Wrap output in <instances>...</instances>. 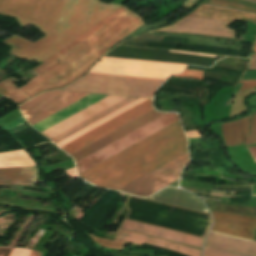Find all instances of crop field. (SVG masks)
<instances>
[{"label":"crop field","mask_w":256,"mask_h":256,"mask_svg":"<svg viewBox=\"0 0 256 256\" xmlns=\"http://www.w3.org/2000/svg\"><path fill=\"white\" fill-rule=\"evenodd\" d=\"M43 252L31 251L29 256H41Z\"/></svg>","instance_id":"obj_27"},{"label":"crop field","mask_w":256,"mask_h":256,"mask_svg":"<svg viewBox=\"0 0 256 256\" xmlns=\"http://www.w3.org/2000/svg\"><path fill=\"white\" fill-rule=\"evenodd\" d=\"M163 82L160 79L89 73L63 90L152 98L153 91Z\"/></svg>","instance_id":"obj_5"},{"label":"crop field","mask_w":256,"mask_h":256,"mask_svg":"<svg viewBox=\"0 0 256 256\" xmlns=\"http://www.w3.org/2000/svg\"><path fill=\"white\" fill-rule=\"evenodd\" d=\"M250 153L252 154L255 162H256V147H251V148H248Z\"/></svg>","instance_id":"obj_26"},{"label":"crop field","mask_w":256,"mask_h":256,"mask_svg":"<svg viewBox=\"0 0 256 256\" xmlns=\"http://www.w3.org/2000/svg\"><path fill=\"white\" fill-rule=\"evenodd\" d=\"M180 185L207 189V190H210L213 187V185L211 184H203V183H195V182H187V181H181Z\"/></svg>","instance_id":"obj_21"},{"label":"crop field","mask_w":256,"mask_h":256,"mask_svg":"<svg viewBox=\"0 0 256 256\" xmlns=\"http://www.w3.org/2000/svg\"><path fill=\"white\" fill-rule=\"evenodd\" d=\"M203 255L205 256H245L237 253H232L220 249H215L205 246Z\"/></svg>","instance_id":"obj_19"},{"label":"crop field","mask_w":256,"mask_h":256,"mask_svg":"<svg viewBox=\"0 0 256 256\" xmlns=\"http://www.w3.org/2000/svg\"><path fill=\"white\" fill-rule=\"evenodd\" d=\"M203 3L217 6H225L228 8L251 11L256 13V4L243 0H205Z\"/></svg>","instance_id":"obj_18"},{"label":"crop field","mask_w":256,"mask_h":256,"mask_svg":"<svg viewBox=\"0 0 256 256\" xmlns=\"http://www.w3.org/2000/svg\"><path fill=\"white\" fill-rule=\"evenodd\" d=\"M164 114L157 112L155 109L146 113L145 115L137 118L136 120L126 124L125 126L117 129L116 131L108 134L107 136L99 139L98 141L88 145L87 147L72 154L74 161L77 162L84 157L92 154L93 152L103 148L104 146L112 143L113 141L121 138L122 136L130 133L131 131L141 127L142 125L150 122L151 120ZM179 120L177 114L167 113L150 123L142 126L141 128L131 132L130 134L122 137L121 139L113 142L112 144L104 147L103 149L93 153L92 155L84 158L76 163L78 174H81L88 169L96 166L97 164L105 161L106 159L114 156L115 154L123 151L124 149L134 145L135 143L143 140L144 138L152 135L153 133L161 130L162 128L170 125L171 123Z\"/></svg>","instance_id":"obj_2"},{"label":"crop field","mask_w":256,"mask_h":256,"mask_svg":"<svg viewBox=\"0 0 256 256\" xmlns=\"http://www.w3.org/2000/svg\"><path fill=\"white\" fill-rule=\"evenodd\" d=\"M12 250L10 248H0V256H10Z\"/></svg>","instance_id":"obj_23"},{"label":"crop field","mask_w":256,"mask_h":256,"mask_svg":"<svg viewBox=\"0 0 256 256\" xmlns=\"http://www.w3.org/2000/svg\"><path fill=\"white\" fill-rule=\"evenodd\" d=\"M204 71L185 70L183 74L174 77L202 80Z\"/></svg>","instance_id":"obj_20"},{"label":"crop field","mask_w":256,"mask_h":256,"mask_svg":"<svg viewBox=\"0 0 256 256\" xmlns=\"http://www.w3.org/2000/svg\"><path fill=\"white\" fill-rule=\"evenodd\" d=\"M179 121L79 175L101 188L117 190L187 152Z\"/></svg>","instance_id":"obj_1"},{"label":"crop field","mask_w":256,"mask_h":256,"mask_svg":"<svg viewBox=\"0 0 256 256\" xmlns=\"http://www.w3.org/2000/svg\"><path fill=\"white\" fill-rule=\"evenodd\" d=\"M226 146L256 143V114L222 124Z\"/></svg>","instance_id":"obj_12"},{"label":"crop field","mask_w":256,"mask_h":256,"mask_svg":"<svg viewBox=\"0 0 256 256\" xmlns=\"http://www.w3.org/2000/svg\"><path fill=\"white\" fill-rule=\"evenodd\" d=\"M189 160L188 153H185L167 164L157 168L147 175L137 179L119 191L135 196L146 197L168 184L178 180L180 171Z\"/></svg>","instance_id":"obj_7"},{"label":"crop field","mask_w":256,"mask_h":256,"mask_svg":"<svg viewBox=\"0 0 256 256\" xmlns=\"http://www.w3.org/2000/svg\"><path fill=\"white\" fill-rule=\"evenodd\" d=\"M115 235H116V233H106L105 237L113 239L115 237Z\"/></svg>","instance_id":"obj_28"},{"label":"crop field","mask_w":256,"mask_h":256,"mask_svg":"<svg viewBox=\"0 0 256 256\" xmlns=\"http://www.w3.org/2000/svg\"><path fill=\"white\" fill-rule=\"evenodd\" d=\"M35 166L0 168V184L33 185Z\"/></svg>","instance_id":"obj_17"},{"label":"crop field","mask_w":256,"mask_h":256,"mask_svg":"<svg viewBox=\"0 0 256 256\" xmlns=\"http://www.w3.org/2000/svg\"><path fill=\"white\" fill-rule=\"evenodd\" d=\"M152 109H154L152 107V100L148 99L133 107L132 109L124 112L123 114L115 117L114 119L106 122L105 124L99 126L98 128L90 131L89 133L81 136L80 138L74 140L73 142L67 144L66 146L68 147L63 151L70 155Z\"/></svg>","instance_id":"obj_9"},{"label":"crop field","mask_w":256,"mask_h":256,"mask_svg":"<svg viewBox=\"0 0 256 256\" xmlns=\"http://www.w3.org/2000/svg\"><path fill=\"white\" fill-rule=\"evenodd\" d=\"M247 1H251V2H255L256 3V0H247Z\"/></svg>","instance_id":"obj_31"},{"label":"crop field","mask_w":256,"mask_h":256,"mask_svg":"<svg viewBox=\"0 0 256 256\" xmlns=\"http://www.w3.org/2000/svg\"><path fill=\"white\" fill-rule=\"evenodd\" d=\"M122 229L202 248L204 239L124 220Z\"/></svg>","instance_id":"obj_13"},{"label":"crop field","mask_w":256,"mask_h":256,"mask_svg":"<svg viewBox=\"0 0 256 256\" xmlns=\"http://www.w3.org/2000/svg\"><path fill=\"white\" fill-rule=\"evenodd\" d=\"M130 195H128V197H129ZM128 197H127V199H128ZM127 199H126V201H127ZM126 201H125V203H126ZM125 203H124V205H125ZM125 207H126V205H125ZM127 208V207H126ZM128 209V208H127ZM128 211H129V209H128ZM130 212V211H129ZM129 214V213H128ZM128 214H127V216H128ZM127 216H126V218H127ZM210 218H211V216H210ZM211 221H212V218H211Z\"/></svg>","instance_id":"obj_29"},{"label":"crop field","mask_w":256,"mask_h":256,"mask_svg":"<svg viewBox=\"0 0 256 256\" xmlns=\"http://www.w3.org/2000/svg\"><path fill=\"white\" fill-rule=\"evenodd\" d=\"M243 82L239 91L245 90L247 88L256 87V80H249V81H240Z\"/></svg>","instance_id":"obj_22"},{"label":"crop field","mask_w":256,"mask_h":256,"mask_svg":"<svg viewBox=\"0 0 256 256\" xmlns=\"http://www.w3.org/2000/svg\"><path fill=\"white\" fill-rule=\"evenodd\" d=\"M90 237L99 245L107 248H112V249H124L125 242H128V243H133L140 246L144 245L145 243H148V244L175 250L186 256H200V252H201L200 250L183 246L177 243H173L170 241H166V240H162V239H158V238H154V237H150V236H146V235H142V234H138V233L122 230V229H119L113 241L96 238L92 236ZM133 244L131 247H140Z\"/></svg>","instance_id":"obj_10"},{"label":"crop field","mask_w":256,"mask_h":256,"mask_svg":"<svg viewBox=\"0 0 256 256\" xmlns=\"http://www.w3.org/2000/svg\"><path fill=\"white\" fill-rule=\"evenodd\" d=\"M105 97L107 96L90 94L32 126L41 132Z\"/></svg>","instance_id":"obj_16"},{"label":"crop field","mask_w":256,"mask_h":256,"mask_svg":"<svg viewBox=\"0 0 256 256\" xmlns=\"http://www.w3.org/2000/svg\"><path fill=\"white\" fill-rule=\"evenodd\" d=\"M252 51L256 52V43H255V45H254Z\"/></svg>","instance_id":"obj_30"},{"label":"crop field","mask_w":256,"mask_h":256,"mask_svg":"<svg viewBox=\"0 0 256 256\" xmlns=\"http://www.w3.org/2000/svg\"><path fill=\"white\" fill-rule=\"evenodd\" d=\"M215 224L213 231L254 240L256 234V216L236 215L211 211Z\"/></svg>","instance_id":"obj_11"},{"label":"crop field","mask_w":256,"mask_h":256,"mask_svg":"<svg viewBox=\"0 0 256 256\" xmlns=\"http://www.w3.org/2000/svg\"><path fill=\"white\" fill-rule=\"evenodd\" d=\"M247 69H255L256 70V53L252 54V60Z\"/></svg>","instance_id":"obj_24"},{"label":"crop field","mask_w":256,"mask_h":256,"mask_svg":"<svg viewBox=\"0 0 256 256\" xmlns=\"http://www.w3.org/2000/svg\"><path fill=\"white\" fill-rule=\"evenodd\" d=\"M236 20L256 22V14L201 4L176 24L157 31L191 32L234 38L235 30L226 26Z\"/></svg>","instance_id":"obj_4"},{"label":"crop field","mask_w":256,"mask_h":256,"mask_svg":"<svg viewBox=\"0 0 256 256\" xmlns=\"http://www.w3.org/2000/svg\"><path fill=\"white\" fill-rule=\"evenodd\" d=\"M148 199L210 214L200 199L181 190L165 188Z\"/></svg>","instance_id":"obj_14"},{"label":"crop field","mask_w":256,"mask_h":256,"mask_svg":"<svg viewBox=\"0 0 256 256\" xmlns=\"http://www.w3.org/2000/svg\"><path fill=\"white\" fill-rule=\"evenodd\" d=\"M66 173L72 177H75V178H78L77 174H76V171L75 169H69V170H66Z\"/></svg>","instance_id":"obj_25"},{"label":"crop field","mask_w":256,"mask_h":256,"mask_svg":"<svg viewBox=\"0 0 256 256\" xmlns=\"http://www.w3.org/2000/svg\"><path fill=\"white\" fill-rule=\"evenodd\" d=\"M185 65L103 57L90 72L167 79Z\"/></svg>","instance_id":"obj_6"},{"label":"crop field","mask_w":256,"mask_h":256,"mask_svg":"<svg viewBox=\"0 0 256 256\" xmlns=\"http://www.w3.org/2000/svg\"><path fill=\"white\" fill-rule=\"evenodd\" d=\"M86 95L88 94L54 91L40 95L19 108L32 125Z\"/></svg>","instance_id":"obj_8"},{"label":"crop field","mask_w":256,"mask_h":256,"mask_svg":"<svg viewBox=\"0 0 256 256\" xmlns=\"http://www.w3.org/2000/svg\"><path fill=\"white\" fill-rule=\"evenodd\" d=\"M216 233V232H215ZM209 232L205 245L245 255L256 256V241L251 242Z\"/></svg>","instance_id":"obj_15"},{"label":"crop field","mask_w":256,"mask_h":256,"mask_svg":"<svg viewBox=\"0 0 256 256\" xmlns=\"http://www.w3.org/2000/svg\"><path fill=\"white\" fill-rule=\"evenodd\" d=\"M123 98H125V97L109 96V97H107V98H105V99H103V100L97 102L96 104H94V105H92V106H90V107H88V108L82 110L81 112H79V113H77V114H75V115L69 117L68 119H66V120H64V121H62V122H60V123L54 125L53 127L49 128V129H47V130H45V131H43V132H41V133H42L43 135H45L47 138L51 139V138H53V137L59 135L60 133H62V132H64V131L68 130L69 128L75 126L76 124H78V123L84 121L85 119H87V118L93 116L94 114H96V113L102 111L103 109L109 107L110 105H112V104L118 102L119 100H121V99H123ZM135 100H137V99H136V98L127 97V98H125V99L119 101L118 103H116V104L110 106L109 108L103 110L102 112H100V113L94 115L93 117H91V118L85 120L84 122H82V123L76 125L75 127L69 129L68 131H66V132H64V133H62V134H60L59 136H57V137L51 139V141L56 144V143H58V142H60V141H62V140H64V139H66L67 137H69V136L75 134L76 132H78V131H80V130L86 128L87 126H89V125H91V124L97 122L98 120H100V119H102V118L108 116L109 114H111V113L117 111L118 109H120V108H122V107L128 105L129 103H131V102H133V101H135ZM144 100H146V99H139V100H137V101H135V102L129 104L128 106H126V107L120 109L119 111H117V112H115V113L109 115L108 117H106V118H104V119L98 121L97 123H95V124H93V125L87 127L86 129H84V130L78 132L77 134H75V135H73V136L67 138L66 140H64V141H62V142H60V143H58V144H56V145H58V146L60 147V146H62V145H64V144L68 143L69 141H71V140H73V139L79 137L80 135H82V134L88 132L89 130H91V129L97 127V126H99L100 124H102V123L108 121L109 119H111V118H113V117L119 115L120 113H122V112L128 110L129 108H131V107H133V106L139 104L140 102H142V101H144ZM140 104H141V103H140Z\"/></svg>","instance_id":"obj_3"}]
</instances>
